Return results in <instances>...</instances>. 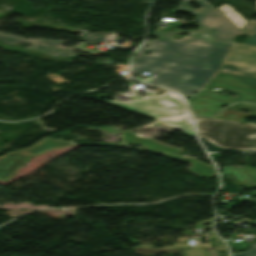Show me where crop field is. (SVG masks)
Wrapping results in <instances>:
<instances>
[{
  "instance_id": "obj_21",
  "label": "crop field",
  "mask_w": 256,
  "mask_h": 256,
  "mask_svg": "<svg viewBox=\"0 0 256 256\" xmlns=\"http://www.w3.org/2000/svg\"><path fill=\"white\" fill-rule=\"evenodd\" d=\"M131 43H132V42H126L123 46H126V47H128V48H129V47H130V45H131Z\"/></svg>"
},
{
  "instance_id": "obj_16",
  "label": "crop field",
  "mask_w": 256,
  "mask_h": 256,
  "mask_svg": "<svg viewBox=\"0 0 256 256\" xmlns=\"http://www.w3.org/2000/svg\"><path fill=\"white\" fill-rule=\"evenodd\" d=\"M242 169L248 175V177L252 180V182L256 183V168L242 167Z\"/></svg>"
},
{
  "instance_id": "obj_8",
  "label": "crop field",
  "mask_w": 256,
  "mask_h": 256,
  "mask_svg": "<svg viewBox=\"0 0 256 256\" xmlns=\"http://www.w3.org/2000/svg\"><path fill=\"white\" fill-rule=\"evenodd\" d=\"M224 61L222 72L256 77V48L234 43Z\"/></svg>"
},
{
  "instance_id": "obj_10",
  "label": "crop field",
  "mask_w": 256,
  "mask_h": 256,
  "mask_svg": "<svg viewBox=\"0 0 256 256\" xmlns=\"http://www.w3.org/2000/svg\"><path fill=\"white\" fill-rule=\"evenodd\" d=\"M243 77L228 75L220 73L213 80H211L205 88L214 89L216 87L230 90L237 83H239Z\"/></svg>"
},
{
  "instance_id": "obj_2",
  "label": "crop field",
  "mask_w": 256,
  "mask_h": 256,
  "mask_svg": "<svg viewBox=\"0 0 256 256\" xmlns=\"http://www.w3.org/2000/svg\"><path fill=\"white\" fill-rule=\"evenodd\" d=\"M190 1L198 2L202 8L192 9L189 5ZM177 10L194 13L200 29L188 32L190 35L180 41L172 40V34L184 32L156 31L153 32L154 36L176 42L229 48L238 32L232 22L206 0H182Z\"/></svg>"
},
{
  "instance_id": "obj_7",
  "label": "crop field",
  "mask_w": 256,
  "mask_h": 256,
  "mask_svg": "<svg viewBox=\"0 0 256 256\" xmlns=\"http://www.w3.org/2000/svg\"><path fill=\"white\" fill-rule=\"evenodd\" d=\"M69 142L54 141L49 138L43 142L21 152H12L0 157V180H8L32 156L42 154L48 150L61 149L70 146Z\"/></svg>"
},
{
  "instance_id": "obj_3",
  "label": "crop field",
  "mask_w": 256,
  "mask_h": 256,
  "mask_svg": "<svg viewBox=\"0 0 256 256\" xmlns=\"http://www.w3.org/2000/svg\"><path fill=\"white\" fill-rule=\"evenodd\" d=\"M163 67L167 68L166 71H160V69ZM142 71L156 75L153 79L147 78V80H144L136 78L137 80L168 87L186 96L199 90L215 73L213 71L179 66L133 65L134 74H139Z\"/></svg>"
},
{
  "instance_id": "obj_17",
  "label": "crop field",
  "mask_w": 256,
  "mask_h": 256,
  "mask_svg": "<svg viewBox=\"0 0 256 256\" xmlns=\"http://www.w3.org/2000/svg\"><path fill=\"white\" fill-rule=\"evenodd\" d=\"M233 256H256V243L252 245V249Z\"/></svg>"
},
{
  "instance_id": "obj_9",
  "label": "crop field",
  "mask_w": 256,
  "mask_h": 256,
  "mask_svg": "<svg viewBox=\"0 0 256 256\" xmlns=\"http://www.w3.org/2000/svg\"><path fill=\"white\" fill-rule=\"evenodd\" d=\"M0 40L9 45H13L16 42L30 43L32 44L31 49L52 55L54 57H59V56L72 57L73 50H76V49L86 50L83 48L84 47L83 45H79L78 47H72V48H63L58 46V44L60 43L58 41L24 40V39L16 38V37H13L7 34H1V33H0ZM42 44H45V46H42ZM90 53H95V52H90Z\"/></svg>"
},
{
  "instance_id": "obj_18",
  "label": "crop field",
  "mask_w": 256,
  "mask_h": 256,
  "mask_svg": "<svg viewBox=\"0 0 256 256\" xmlns=\"http://www.w3.org/2000/svg\"><path fill=\"white\" fill-rule=\"evenodd\" d=\"M50 78H52L53 82H56V83H58V84L60 85V88H58V89H56V88L54 87V90H56V91L62 89L61 85H62L63 83H69V82L65 81L63 78H61V77H59V76H57V75H51Z\"/></svg>"
},
{
  "instance_id": "obj_14",
  "label": "crop field",
  "mask_w": 256,
  "mask_h": 256,
  "mask_svg": "<svg viewBox=\"0 0 256 256\" xmlns=\"http://www.w3.org/2000/svg\"><path fill=\"white\" fill-rule=\"evenodd\" d=\"M218 9L239 29L247 23L239 14L235 13L229 5H222V7H219Z\"/></svg>"
},
{
  "instance_id": "obj_6",
  "label": "crop field",
  "mask_w": 256,
  "mask_h": 256,
  "mask_svg": "<svg viewBox=\"0 0 256 256\" xmlns=\"http://www.w3.org/2000/svg\"><path fill=\"white\" fill-rule=\"evenodd\" d=\"M119 134L122 135L124 145L144 146V147H147V150H149L151 152L166 154L168 157L176 158V159L187 161V162L191 163L192 167L189 168L188 170L203 177V178L212 177L213 174L216 173L215 168H213L205 163H202L195 159L185 158L183 156L177 155L178 152L183 151L179 148L166 146L164 144H161V143L156 142L151 139L138 137L137 135H135L134 133H132L130 131L119 132ZM160 147H164V148H160Z\"/></svg>"
},
{
  "instance_id": "obj_11",
  "label": "crop field",
  "mask_w": 256,
  "mask_h": 256,
  "mask_svg": "<svg viewBox=\"0 0 256 256\" xmlns=\"http://www.w3.org/2000/svg\"><path fill=\"white\" fill-rule=\"evenodd\" d=\"M40 28H44V27H40ZM48 29H55V30H63V31H70V32H74V33H80L82 35L80 38L84 39L87 44L88 43H96V42H108L111 39H113L115 34H117V33L124 34V33H121V32H109L110 33L109 36H102L100 34L88 35V34L83 33L81 31L71 30V29H67V28H60V27H52V28H48ZM124 35H128V34H124ZM129 36H137V35H129Z\"/></svg>"
},
{
  "instance_id": "obj_5",
  "label": "crop field",
  "mask_w": 256,
  "mask_h": 256,
  "mask_svg": "<svg viewBox=\"0 0 256 256\" xmlns=\"http://www.w3.org/2000/svg\"><path fill=\"white\" fill-rule=\"evenodd\" d=\"M102 102L154 119L191 117L183 98L168 91L160 96H146L129 102L108 100H102ZM170 106L174 108L170 109Z\"/></svg>"
},
{
  "instance_id": "obj_1",
  "label": "crop field",
  "mask_w": 256,
  "mask_h": 256,
  "mask_svg": "<svg viewBox=\"0 0 256 256\" xmlns=\"http://www.w3.org/2000/svg\"><path fill=\"white\" fill-rule=\"evenodd\" d=\"M145 45L150 47L144 48ZM148 51H152L150 55L142 54ZM227 51L225 48L166 40L146 41L134 58L133 64H167L218 71Z\"/></svg>"
},
{
  "instance_id": "obj_15",
  "label": "crop field",
  "mask_w": 256,
  "mask_h": 256,
  "mask_svg": "<svg viewBox=\"0 0 256 256\" xmlns=\"http://www.w3.org/2000/svg\"><path fill=\"white\" fill-rule=\"evenodd\" d=\"M244 34L250 35L246 43L256 45V20H250L239 30L237 36Z\"/></svg>"
},
{
  "instance_id": "obj_19",
  "label": "crop field",
  "mask_w": 256,
  "mask_h": 256,
  "mask_svg": "<svg viewBox=\"0 0 256 256\" xmlns=\"http://www.w3.org/2000/svg\"><path fill=\"white\" fill-rule=\"evenodd\" d=\"M116 68H121V69H119V70H114L116 73H118V74H120V72L122 71V70H126V71H128V67H125V66H120V65H118Z\"/></svg>"
},
{
  "instance_id": "obj_13",
  "label": "crop field",
  "mask_w": 256,
  "mask_h": 256,
  "mask_svg": "<svg viewBox=\"0 0 256 256\" xmlns=\"http://www.w3.org/2000/svg\"><path fill=\"white\" fill-rule=\"evenodd\" d=\"M164 123H167L169 125L178 127L182 129L187 135L194 137L193 136V131H192V118H178L175 120H158Z\"/></svg>"
},
{
  "instance_id": "obj_20",
  "label": "crop field",
  "mask_w": 256,
  "mask_h": 256,
  "mask_svg": "<svg viewBox=\"0 0 256 256\" xmlns=\"http://www.w3.org/2000/svg\"><path fill=\"white\" fill-rule=\"evenodd\" d=\"M253 143V149L256 151V137L252 140Z\"/></svg>"
},
{
  "instance_id": "obj_4",
  "label": "crop field",
  "mask_w": 256,
  "mask_h": 256,
  "mask_svg": "<svg viewBox=\"0 0 256 256\" xmlns=\"http://www.w3.org/2000/svg\"><path fill=\"white\" fill-rule=\"evenodd\" d=\"M200 137L223 149L253 151L251 140L256 136V125L197 118Z\"/></svg>"
},
{
  "instance_id": "obj_12",
  "label": "crop field",
  "mask_w": 256,
  "mask_h": 256,
  "mask_svg": "<svg viewBox=\"0 0 256 256\" xmlns=\"http://www.w3.org/2000/svg\"><path fill=\"white\" fill-rule=\"evenodd\" d=\"M188 102L196 116H207V117L215 116V118H217L219 113L223 110L221 108H217L209 105L199 104V103L190 102V101Z\"/></svg>"
}]
</instances>
